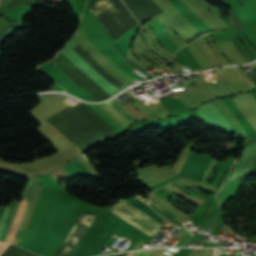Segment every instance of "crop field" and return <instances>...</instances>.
<instances>
[{
	"label": "crop field",
	"instance_id": "ac0d7876",
	"mask_svg": "<svg viewBox=\"0 0 256 256\" xmlns=\"http://www.w3.org/2000/svg\"><path fill=\"white\" fill-rule=\"evenodd\" d=\"M99 117H101L116 133L128 127L127 122L106 103H86Z\"/></svg>",
	"mask_w": 256,
	"mask_h": 256
},
{
	"label": "crop field",
	"instance_id": "dd49c442",
	"mask_svg": "<svg viewBox=\"0 0 256 256\" xmlns=\"http://www.w3.org/2000/svg\"><path fill=\"white\" fill-rule=\"evenodd\" d=\"M152 250L153 249L135 252L133 256H148L152 252Z\"/></svg>",
	"mask_w": 256,
	"mask_h": 256
},
{
	"label": "crop field",
	"instance_id": "34b2d1b8",
	"mask_svg": "<svg viewBox=\"0 0 256 256\" xmlns=\"http://www.w3.org/2000/svg\"><path fill=\"white\" fill-rule=\"evenodd\" d=\"M195 60L205 58L196 40L186 45Z\"/></svg>",
	"mask_w": 256,
	"mask_h": 256
},
{
	"label": "crop field",
	"instance_id": "8a807250",
	"mask_svg": "<svg viewBox=\"0 0 256 256\" xmlns=\"http://www.w3.org/2000/svg\"><path fill=\"white\" fill-rule=\"evenodd\" d=\"M110 211L150 236L156 233L157 229L161 226L144 212L124 202Z\"/></svg>",
	"mask_w": 256,
	"mask_h": 256
},
{
	"label": "crop field",
	"instance_id": "d8731c3e",
	"mask_svg": "<svg viewBox=\"0 0 256 256\" xmlns=\"http://www.w3.org/2000/svg\"><path fill=\"white\" fill-rule=\"evenodd\" d=\"M151 202V201H150ZM152 204H154L153 202H151ZM155 205V204H154ZM156 207H158L157 205H155ZM159 208V207H158ZM161 209V208H160Z\"/></svg>",
	"mask_w": 256,
	"mask_h": 256
},
{
	"label": "crop field",
	"instance_id": "e52e79f7",
	"mask_svg": "<svg viewBox=\"0 0 256 256\" xmlns=\"http://www.w3.org/2000/svg\"><path fill=\"white\" fill-rule=\"evenodd\" d=\"M9 244L1 243L0 244V255L4 252V250L8 247Z\"/></svg>",
	"mask_w": 256,
	"mask_h": 256
},
{
	"label": "crop field",
	"instance_id": "412701ff",
	"mask_svg": "<svg viewBox=\"0 0 256 256\" xmlns=\"http://www.w3.org/2000/svg\"><path fill=\"white\" fill-rule=\"evenodd\" d=\"M108 103H109L114 109H116L120 114H122V115L128 120L129 123L132 122V121H134V120H133L131 117H129L122 109H120V108H118L117 106H115V105L112 103L111 100L108 101Z\"/></svg>",
	"mask_w": 256,
	"mask_h": 256
},
{
	"label": "crop field",
	"instance_id": "f4fd0767",
	"mask_svg": "<svg viewBox=\"0 0 256 256\" xmlns=\"http://www.w3.org/2000/svg\"><path fill=\"white\" fill-rule=\"evenodd\" d=\"M19 204H20V202H18L17 205H16V208H15V210H14V212H13V215H12V218H11V221H10V224H9V226H8V229H7V232H6V234H5V237H4V240H3V241H5L6 238H7V236H8L11 223H12V221H13V218H14V216H15V213H16V211H17V209H18Z\"/></svg>",
	"mask_w": 256,
	"mask_h": 256
}]
</instances>
